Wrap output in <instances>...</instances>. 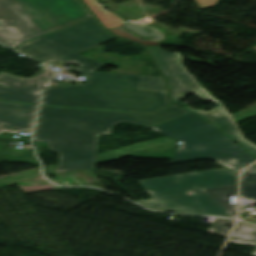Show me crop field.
<instances>
[{
  "instance_id": "crop-field-1",
  "label": "crop field",
  "mask_w": 256,
  "mask_h": 256,
  "mask_svg": "<svg viewBox=\"0 0 256 256\" xmlns=\"http://www.w3.org/2000/svg\"><path fill=\"white\" fill-rule=\"evenodd\" d=\"M109 38L92 17L18 48L43 63H76L75 71L89 77L84 84L45 88L42 104L142 112L171 104L167 91L139 89L142 76L94 72L104 63L77 54Z\"/></svg>"
},
{
  "instance_id": "crop-field-2",
  "label": "crop field",
  "mask_w": 256,
  "mask_h": 256,
  "mask_svg": "<svg viewBox=\"0 0 256 256\" xmlns=\"http://www.w3.org/2000/svg\"><path fill=\"white\" fill-rule=\"evenodd\" d=\"M186 113L175 105L151 114L41 106L33 140L59 153L55 172L96 168L99 135L118 122L152 127Z\"/></svg>"
},
{
  "instance_id": "crop-field-3",
  "label": "crop field",
  "mask_w": 256,
  "mask_h": 256,
  "mask_svg": "<svg viewBox=\"0 0 256 256\" xmlns=\"http://www.w3.org/2000/svg\"><path fill=\"white\" fill-rule=\"evenodd\" d=\"M139 182L153 198L138 203L150 210L235 217L204 190L237 184V174L227 169ZM190 192L195 194H187Z\"/></svg>"
},
{
  "instance_id": "crop-field-4",
  "label": "crop field",
  "mask_w": 256,
  "mask_h": 256,
  "mask_svg": "<svg viewBox=\"0 0 256 256\" xmlns=\"http://www.w3.org/2000/svg\"><path fill=\"white\" fill-rule=\"evenodd\" d=\"M88 17L78 0H0V42L15 48Z\"/></svg>"
},
{
  "instance_id": "crop-field-5",
  "label": "crop field",
  "mask_w": 256,
  "mask_h": 256,
  "mask_svg": "<svg viewBox=\"0 0 256 256\" xmlns=\"http://www.w3.org/2000/svg\"><path fill=\"white\" fill-rule=\"evenodd\" d=\"M182 141L170 164L207 159L235 143L205 119L188 113L152 128Z\"/></svg>"
},
{
  "instance_id": "crop-field-6",
  "label": "crop field",
  "mask_w": 256,
  "mask_h": 256,
  "mask_svg": "<svg viewBox=\"0 0 256 256\" xmlns=\"http://www.w3.org/2000/svg\"><path fill=\"white\" fill-rule=\"evenodd\" d=\"M155 60L168 78L173 101L176 102L187 93H196L200 98L216 102L204 88L182 66V57L179 52L170 53L161 50L158 46L148 47Z\"/></svg>"
},
{
  "instance_id": "crop-field-7",
  "label": "crop field",
  "mask_w": 256,
  "mask_h": 256,
  "mask_svg": "<svg viewBox=\"0 0 256 256\" xmlns=\"http://www.w3.org/2000/svg\"><path fill=\"white\" fill-rule=\"evenodd\" d=\"M57 75L47 67L39 75L30 78H21L0 73V99L38 104L41 87L50 78Z\"/></svg>"
},
{
  "instance_id": "crop-field-8",
  "label": "crop field",
  "mask_w": 256,
  "mask_h": 256,
  "mask_svg": "<svg viewBox=\"0 0 256 256\" xmlns=\"http://www.w3.org/2000/svg\"><path fill=\"white\" fill-rule=\"evenodd\" d=\"M38 106L0 102V133L3 131L19 133L32 132Z\"/></svg>"
},
{
  "instance_id": "crop-field-9",
  "label": "crop field",
  "mask_w": 256,
  "mask_h": 256,
  "mask_svg": "<svg viewBox=\"0 0 256 256\" xmlns=\"http://www.w3.org/2000/svg\"><path fill=\"white\" fill-rule=\"evenodd\" d=\"M210 159L237 173L248 164L256 160L243 149H241L236 143Z\"/></svg>"
},
{
  "instance_id": "crop-field-10",
  "label": "crop field",
  "mask_w": 256,
  "mask_h": 256,
  "mask_svg": "<svg viewBox=\"0 0 256 256\" xmlns=\"http://www.w3.org/2000/svg\"><path fill=\"white\" fill-rule=\"evenodd\" d=\"M217 104L218 107L209 112L204 110H194L190 107L188 108L210 119L213 123H215L217 126H219L221 129H223L225 132H227L229 135H231L233 138H235L237 141H239L242 145H244L246 148H248L251 152H253L256 155V147L251 143L243 140L244 138L242 139L241 135L239 134L238 130L230 120L227 113L224 111V109L221 107L219 103Z\"/></svg>"
},
{
  "instance_id": "crop-field-11",
  "label": "crop field",
  "mask_w": 256,
  "mask_h": 256,
  "mask_svg": "<svg viewBox=\"0 0 256 256\" xmlns=\"http://www.w3.org/2000/svg\"><path fill=\"white\" fill-rule=\"evenodd\" d=\"M83 1L98 16V18L102 21V23L105 25L107 30L120 27L127 23L119 15L113 12H108L96 0H83Z\"/></svg>"
},
{
  "instance_id": "crop-field-12",
  "label": "crop field",
  "mask_w": 256,
  "mask_h": 256,
  "mask_svg": "<svg viewBox=\"0 0 256 256\" xmlns=\"http://www.w3.org/2000/svg\"><path fill=\"white\" fill-rule=\"evenodd\" d=\"M241 198L256 202V173L249 168L242 173Z\"/></svg>"
},
{
  "instance_id": "crop-field-13",
  "label": "crop field",
  "mask_w": 256,
  "mask_h": 256,
  "mask_svg": "<svg viewBox=\"0 0 256 256\" xmlns=\"http://www.w3.org/2000/svg\"><path fill=\"white\" fill-rule=\"evenodd\" d=\"M237 217V206L229 204V196L237 195V185L206 190Z\"/></svg>"
},
{
  "instance_id": "crop-field-14",
  "label": "crop field",
  "mask_w": 256,
  "mask_h": 256,
  "mask_svg": "<svg viewBox=\"0 0 256 256\" xmlns=\"http://www.w3.org/2000/svg\"><path fill=\"white\" fill-rule=\"evenodd\" d=\"M231 238L256 243V226L239 221Z\"/></svg>"
},
{
  "instance_id": "crop-field-15",
  "label": "crop field",
  "mask_w": 256,
  "mask_h": 256,
  "mask_svg": "<svg viewBox=\"0 0 256 256\" xmlns=\"http://www.w3.org/2000/svg\"><path fill=\"white\" fill-rule=\"evenodd\" d=\"M140 88L166 90V82L164 77L143 76Z\"/></svg>"
},
{
  "instance_id": "crop-field-16",
  "label": "crop field",
  "mask_w": 256,
  "mask_h": 256,
  "mask_svg": "<svg viewBox=\"0 0 256 256\" xmlns=\"http://www.w3.org/2000/svg\"><path fill=\"white\" fill-rule=\"evenodd\" d=\"M234 223H235L234 219L216 218L212 227L209 228L207 231L212 232V233H216V234H221V235L228 236L231 229L227 228L225 226L227 224H234Z\"/></svg>"
},
{
  "instance_id": "crop-field-17",
  "label": "crop field",
  "mask_w": 256,
  "mask_h": 256,
  "mask_svg": "<svg viewBox=\"0 0 256 256\" xmlns=\"http://www.w3.org/2000/svg\"><path fill=\"white\" fill-rule=\"evenodd\" d=\"M195 1L200 8H204L208 6H213L219 0H195Z\"/></svg>"
},
{
  "instance_id": "crop-field-18",
  "label": "crop field",
  "mask_w": 256,
  "mask_h": 256,
  "mask_svg": "<svg viewBox=\"0 0 256 256\" xmlns=\"http://www.w3.org/2000/svg\"><path fill=\"white\" fill-rule=\"evenodd\" d=\"M229 241H231V242H237V243H242V244H247V245H253V246H256V244H255V243L243 242V241L232 240V239H230Z\"/></svg>"
},
{
  "instance_id": "crop-field-19",
  "label": "crop field",
  "mask_w": 256,
  "mask_h": 256,
  "mask_svg": "<svg viewBox=\"0 0 256 256\" xmlns=\"http://www.w3.org/2000/svg\"><path fill=\"white\" fill-rule=\"evenodd\" d=\"M250 168L256 172V165H254V166H252Z\"/></svg>"
},
{
  "instance_id": "crop-field-20",
  "label": "crop field",
  "mask_w": 256,
  "mask_h": 256,
  "mask_svg": "<svg viewBox=\"0 0 256 256\" xmlns=\"http://www.w3.org/2000/svg\"><path fill=\"white\" fill-rule=\"evenodd\" d=\"M252 255H256V248L254 249Z\"/></svg>"
},
{
  "instance_id": "crop-field-21",
  "label": "crop field",
  "mask_w": 256,
  "mask_h": 256,
  "mask_svg": "<svg viewBox=\"0 0 256 256\" xmlns=\"http://www.w3.org/2000/svg\"><path fill=\"white\" fill-rule=\"evenodd\" d=\"M53 84H63V83H53Z\"/></svg>"
}]
</instances>
